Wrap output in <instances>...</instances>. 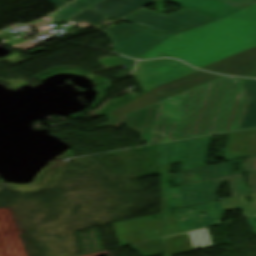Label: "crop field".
<instances>
[{
    "label": "crop field",
    "instance_id": "crop-field-1",
    "mask_svg": "<svg viewBox=\"0 0 256 256\" xmlns=\"http://www.w3.org/2000/svg\"><path fill=\"white\" fill-rule=\"evenodd\" d=\"M246 105L242 81L222 77L95 127L124 124L147 145L237 130Z\"/></svg>",
    "mask_w": 256,
    "mask_h": 256
},
{
    "label": "crop field",
    "instance_id": "crop-field-2",
    "mask_svg": "<svg viewBox=\"0 0 256 256\" xmlns=\"http://www.w3.org/2000/svg\"><path fill=\"white\" fill-rule=\"evenodd\" d=\"M164 1L219 20L173 35L140 59L175 57L186 61L247 37L256 38V22L226 17L243 11L239 8L216 0Z\"/></svg>",
    "mask_w": 256,
    "mask_h": 256
},
{
    "label": "crop field",
    "instance_id": "crop-field-3",
    "mask_svg": "<svg viewBox=\"0 0 256 256\" xmlns=\"http://www.w3.org/2000/svg\"><path fill=\"white\" fill-rule=\"evenodd\" d=\"M231 163H239L240 172H243L242 160L184 170V175H182V171L177 172L175 174V180L176 185H179V187L164 190L168 206L170 208L178 207V209H181L188 206L217 201L219 198L216 192L219 191V183L224 179H228L233 197L248 194L249 190L247 187H244L242 175L191 184V176H200L201 181H204L237 174L232 173ZM244 165L245 172L251 171V173L248 174L251 193L256 192V157L244 159ZM224 170L226 172L225 176L223 174ZM177 194L180 196L174 201L173 195L177 196Z\"/></svg>",
    "mask_w": 256,
    "mask_h": 256
},
{
    "label": "crop field",
    "instance_id": "crop-field-4",
    "mask_svg": "<svg viewBox=\"0 0 256 256\" xmlns=\"http://www.w3.org/2000/svg\"><path fill=\"white\" fill-rule=\"evenodd\" d=\"M189 209L191 211V208ZM189 209H187V212H185V209H182V216L187 215L190 217L188 213ZM193 209V218L190 217L188 220H186L187 223L184 222L185 220L182 222L178 220L177 215L179 214L180 210L175 211L176 216H174V211H172L135 219L137 227L134 220L115 223L114 227L119 239V243L122 246H125L148 239L217 224L221 222L225 214L219 201L193 207ZM198 212L205 213V217L199 219ZM213 215H215L217 218H215ZM131 224H133L134 229H132ZM165 225L168 226V229L164 228ZM133 231L136 232L135 235ZM138 231L140 234L137 233ZM134 236L137 237L138 241L135 240Z\"/></svg>",
    "mask_w": 256,
    "mask_h": 256
},
{
    "label": "crop field",
    "instance_id": "crop-field-5",
    "mask_svg": "<svg viewBox=\"0 0 256 256\" xmlns=\"http://www.w3.org/2000/svg\"><path fill=\"white\" fill-rule=\"evenodd\" d=\"M122 20L171 36L216 19L187 9L168 15L142 9Z\"/></svg>",
    "mask_w": 256,
    "mask_h": 256
},
{
    "label": "crop field",
    "instance_id": "crop-field-6",
    "mask_svg": "<svg viewBox=\"0 0 256 256\" xmlns=\"http://www.w3.org/2000/svg\"><path fill=\"white\" fill-rule=\"evenodd\" d=\"M221 76L198 71L183 78L159 86L140 97L124 104L110 112L109 120L148 106L160 100L161 97H170L187 89L218 79Z\"/></svg>",
    "mask_w": 256,
    "mask_h": 256
},
{
    "label": "crop field",
    "instance_id": "crop-field-7",
    "mask_svg": "<svg viewBox=\"0 0 256 256\" xmlns=\"http://www.w3.org/2000/svg\"><path fill=\"white\" fill-rule=\"evenodd\" d=\"M212 136L170 142L158 146V166L183 161L181 170L205 165Z\"/></svg>",
    "mask_w": 256,
    "mask_h": 256
},
{
    "label": "crop field",
    "instance_id": "crop-field-8",
    "mask_svg": "<svg viewBox=\"0 0 256 256\" xmlns=\"http://www.w3.org/2000/svg\"><path fill=\"white\" fill-rule=\"evenodd\" d=\"M194 71L197 70L182 62L171 59H159L153 61H142L138 63L134 73L141 83L144 91H147L158 84L192 73Z\"/></svg>",
    "mask_w": 256,
    "mask_h": 256
},
{
    "label": "crop field",
    "instance_id": "crop-field-9",
    "mask_svg": "<svg viewBox=\"0 0 256 256\" xmlns=\"http://www.w3.org/2000/svg\"><path fill=\"white\" fill-rule=\"evenodd\" d=\"M219 1L231 4L233 6H236L245 10L243 12L232 15L230 17L256 21V0H219ZM253 47H256V39L247 38L245 40L239 41L237 43L231 44L229 46L223 47L221 49L215 50L213 52L207 53L205 55L199 56L197 58L191 59L186 62L195 67L201 68L212 62L235 55L237 53L243 52Z\"/></svg>",
    "mask_w": 256,
    "mask_h": 256
},
{
    "label": "crop field",
    "instance_id": "crop-field-10",
    "mask_svg": "<svg viewBox=\"0 0 256 256\" xmlns=\"http://www.w3.org/2000/svg\"><path fill=\"white\" fill-rule=\"evenodd\" d=\"M202 69L217 73L251 77L256 69V48L212 63Z\"/></svg>",
    "mask_w": 256,
    "mask_h": 256
},
{
    "label": "crop field",
    "instance_id": "crop-field-11",
    "mask_svg": "<svg viewBox=\"0 0 256 256\" xmlns=\"http://www.w3.org/2000/svg\"><path fill=\"white\" fill-rule=\"evenodd\" d=\"M168 36L147 30L115 44L117 53L139 59Z\"/></svg>",
    "mask_w": 256,
    "mask_h": 256
},
{
    "label": "crop field",
    "instance_id": "crop-field-12",
    "mask_svg": "<svg viewBox=\"0 0 256 256\" xmlns=\"http://www.w3.org/2000/svg\"><path fill=\"white\" fill-rule=\"evenodd\" d=\"M188 234L194 251L197 245H199L201 249L213 247L207 228ZM131 247L141 256H157L166 253L162 239L132 245Z\"/></svg>",
    "mask_w": 256,
    "mask_h": 256
},
{
    "label": "crop field",
    "instance_id": "crop-field-13",
    "mask_svg": "<svg viewBox=\"0 0 256 256\" xmlns=\"http://www.w3.org/2000/svg\"><path fill=\"white\" fill-rule=\"evenodd\" d=\"M154 0H105L92 8L97 12L120 19Z\"/></svg>",
    "mask_w": 256,
    "mask_h": 256
},
{
    "label": "crop field",
    "instance_id": "crop-field-14",
    "mask_svg": "<svg viewBox=\"0 0 256 256\" xmlns=\"http://www.w3.org/2000/svg\"><path fill=\"white\" fill-rule=\"evenodd\" d=\"M248 105L238 130L256 127V80H242Z\"/></svg>",
    "mask_w": 256,
    "mask_h": 256
},
{
    "label": "crop field",
    "instance_id": "crop-field-15",
    "mask_svg": "<svg viewBox=\"0 0 256 256\" xmlns=\"http://www.w3.org/2000/svg\"><path fill=\"white\" fill-rule=\"evenodd\" d=\"M245 197H250L253 203H247ZM225 211L238 210L245 217L256 214V193L237 198H230L220 201Z\"/></svg>",
    "mask_w": 256,
    "mask_h": 256
},
{
    "label": "crop field",
    "instance_id": "crop-field-16",
    "mask_svg": "<svg viewBox=\"0 0 256 256\" xmlns=\"http://www.w3.org/2000/svg\"><path fill=\"white\" fill-rule=\"evenodd\" d=\"M147 29L140 28L134 25H124V26H112L105 30L106 35L110 39L112 44H115L121 40H124L128 37H131L135 34H138L140 32H143Z\"/></svg>",
    "mask_w": 256,
    "mask_h": 256
},
{
    "label": "crop field",
    "instance_id": "crop-field-17",
    "mask_svg": "<svg viewBox=\"0 0 256 256\" xmlns=\"http://www.w3.org/2000/svg\"><path fill=\"white\" fill-rule=\"evenodd\" d=\"M101 0H76L67 7L55 12L52 16L67 20Z\"/></svg>",
    "mask_w": 256,
    "mask_h": 256
},
{
    "label": "crop field",
    "instance_id": "crop-field-18",
    "mask_svg": "<svg viewBox=\"0 0 256 256\" xmlns=\"http://www.w3.org/2000/svg\"><path fill=\"white\" fill-rule=\"evenodd\" d=\"M107 18H109V17L95 13L94 10H92V9H88V10L80 13L79 15L69 19L68 21L76 23V24H79L81 21H85V22L91 23L93 25H97V24L105 21Z\"/></svg>",
    "mask_w": 256,
    "mask_h": 256
},
{
    "label": "crop field",
    "instance_id": "crop-field-19",
    "mask_svg": "<svg viewBox=\"0 0 256 256\" xmlns=\"http://www.w3.org/2000/svg\"><path fill=\"white\" fill-rule=\"evenodd\" d=\"M120 57V56H119ZM120 59L123 61V63L126 65L127 69L124 73H122L121 75L115 77L117 79H121V78H125L127 76H129L133 70L134 64L136 61L134 60H129L127 58L124 57H120Z\"/></svg>",
    "mask_w": 256,
    "mask_h": 256
},
{
    "label": "crop field",
    "instance_id": "crop-field-20",
    "mask_svg": "<svg viewBox=\"0 0 256 256\" xmlns=\"http://www.w3.org/2000/svg\"><path fill=\"white\" fill-rule=\"evenodd\" d=\"M41 44H43V43H33V42L29 41V42L21 43V44L10 46V47H14V48H18L23 51H26L28 49H31V48L36 47Z\"/></svg>",
    "mask_w": 256,
    "mask_h": 256
},
{
    "label": "crop field",
    "instance_id": "crop-field-21",
    "mask_svg": "<svg viewBox=\"0 0 256 256\" xmlns=\"http://www.w3.org/2000/svg\"><path fill=\"white\" fill-rule=\"evenodd\" d=\"M47 1H49V2H51V3H53V4H55L57 7H62V6H64V5H66V4H68V3H66L65 1H63V0H47Z\"/></svg>",
    "mask_w": 256,
    "mask_h": 256
},
{
    "label": "crop field",
    "instance_id": "crop-field-22",
    "mask_svg": "<svg viewBox=\"0 0 256 256\" xmlns=\"http://www.w3.org/2000/svg\"><path fill=\"white\" fill-rule=\"evenodd\" d=\"M79 30H81V29H79ZM77 31V30H76ZM74 32V31H73ZM71 33V32H70ZM66 34H68V33H66ZM62 35H65V34H62Z\"/></svg>",
    "mask_w": 256,
    "mask_h": 256
},
{
    "label": "crop field",
    "instance_id": "crop-field-23",
    "mask_svg": "<svg viewBox=\"0 0 256 256\" xmlns=\"http://www.w3.org/2000/svg\"><path fill=\"white\" fill-rule=\"evenodd\" d=\"M253 77H256V73L254 74V76Z\"/></svg>",
    "mask_w": 256,
    "mask_h": 256
}]
</instances>
